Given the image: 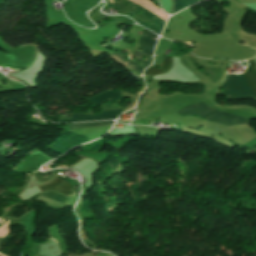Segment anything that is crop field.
I'll return each instance as SVG.
<instances>
[{
    "label": "crop field",
    "instance_id": "crop-field-1",
    "mask_svg": "<svg viewBox=\"0 0 256 256\" xmlns=\"http://www.w3.org/2000/svg\"><path fill=\"white\" fill-rule=\"evenodd\" d=\"M248 63L249 67L243 74L256 97V64L254 59L248 61ZM243 74L230 75L227 82L223 85V89L227 98H255Z\"/></svg>",
    "mask_w": 256,
    "mask_h": 256
},
{
    "label": "crop field",
    "instance_id": "crop-field-2",
    "mask_svg": "<svg viewBox=\"0 0 256 256\" xmlns=\"http://www.w3.org/2000/svg\"><path fill=\"white\" fill-rule=\"evenodd\" d=\"M177 114L185 115V116L196 115L208 121L227 124V125L249 123V120L247 119H244L242 117H239L233 114L214 110L203 102L195 105L187 106L181 109L180 111H178Z\"/></svg>",
    "mask_w": 256,
    "mask_h": 256
},
{
    "label": "crop field",
    "instance_id": "crop-field-3",
    "mask_svg": "<svg viewBox=\"0 0 256 256\" xmlns=\"http://www.w3.org/2000/svg\"><path fill=\"white\" fill-rule=\"evenodd\" d=\"M152 37H156L157 35H155L154 33L144 29L142 31V35L140 37V45L145 49L142 52H144L147 55H151L153 53V49L155 47V44L157 41L152 40ZM142 52L136 50L134 52V54L132 56H135V58L137 60H133L132 63H129L128 61H126L123 57L124 55H122L120 52H114L112 54H110L113 58H115L118 62L122 63L123 65L139 72L142 73V69L145 68L146 66L150 65L152 62V57H148L147 61H143L142 56L144 55ZM136 61H140L141 63L137 64Z\"/></svg>",
    "mask_w": 256,
    "mask_h": 256
},
{
    "label": "crop field",
    "instance_id": "crop-field-4",
    "mask_svg": "<svg viewBox=\"0 0 256 256\" xmlns=\"http://www.w3.org/2000/svg\"><path fill=\"white\" fill-rule=\"evenodd\" d=\"M122 111L123 110L106 111V112H101L98 115L74 114L70 120L58 121V122H71V121H82V120H92V119H116Z\"/></svg>",
    "mask_w": 256,
    "mask_h": 256
},
{
    "label": "crop field",
    "instance_id": "crop-field-5",
    "mask_svg": "<svg viewBox=\"0 0 256 256\" xmlns=\"http://www.w3.org/2000/svg\"><path fill=\"white\" fill-rule=\"evenodd\" d=\"M71 186H72L71 183L57 177L53 182L40 186V189L42 190V192L46 190H52V191L62 193L64 195H68L71 189Z\"/></svg>",
    "mask_w": 256,
    "mask_h": 256
},
{
    "label": "crop field",
    "instance_id": "crop-field-6",
    "mask_svg": "<svg viewBox=\"0 0 256 256\" xmlns=\"http://www.w3.org/2000/svg\"><path fill=\"white\" fill-rule=\"evenodd\" d=\"M120 99V91L112 90H108L102 94L89 98V100H91L96 105L103 104L107 100H110L109 104H111L120 101Z\"/></svg>",
    "mask_w": 256,
    "mask_h": 256
},
{
    "label": "crop field",
    "instance_id": "crop-field-7",
    "mask_svg": "<svg viewBox=\"0 0 256 256\" xmlns=\"http://www.w3.org/2000/svg\"><path fill=\"white\" fill-rule=\"evenodd\" d=\"M171 67H172L171 57H164V62L160 69L149 68L144 72V74H149L151 76L164 74V73H167Z\"/></svg>",
    "mask_w": 256,
    "mask_h": 256
},
{
    "label": "crop field",
    "instance_id": "crop-field-8",
    "mask_svg": "<svg viewBox=\"0 0 256 256\" xmlns=\"http://www.w3.org/2000/svg\"><path fill=\"white\" fill-rule=\"evenodd\" d=\"M137 7H138V6H137ZM138 8H140V9L143 11V14H145V15L151 17L152 19H153V17H155L154 15H152L151 13H149L147 10H145V9H143V8H141V7H138ZM164 23H165V22L161 21L160 19H158V18L156 17V19H155V21H154V23H153L152 26H147V25H145V24H141V25L145 26L146 28L150 29L151 31H153V32H155V33H157V34H160V32H161V30H162V28H163V26H164Z\"/></svg>",
    "mask_w": 256,
    "mask_h": 256
},
{
    "label": "crop field",
    "instance_id": "crop-field-9",
    "mask_svg": "<svg viewBox=\"0 0 256 256\" xmlns=\"http://www.w3.org/2000/svg\"><path fill=\"white\" fill-rule=\"evenodd\" d=\"M113 122L114 121H98V122H88V123H80V124H70L69 129L92 127V126H104V125L113 124Z\"/></svg>",
    "mask_w": 256,
    "mask_h": 256
},
{
    "label": "crop field",
    "instance_id": "crop-field-10",
    "mask_svg": "<svg viewBox=\"0 0 256 256\" xmlns=\"http://www.w3.org/2000/svg\"><path fill=\"white\" fill-rule=\"evenodd\" d=\"M40 196L45 197L47 199H50L52 201H55L57 203H60L62 205L64 204V202L67 198L66 196L59 195V194H57L55 192H52V191H47L43 194H40Z\"/></svg>",
    "mask_w": 256,
    "mask_h": 256
},
{
    "label": "crop field",
    "instance_id": "crop-field-11",
    "mask_svg": "<svg viewBox=\"0 0 256 256\" xmlns=\"http://www.w3.org/2000/svg\"><path fill=\"white\" fill-rule=\"evenodd\" d=\"M198 1L200 0H174L175 4L172 13Z\"/></svg>",
    "mask_w": 256,
    "mask_h": 256
},
{
    "label": "crop field",
    "instance_id": "crop-field-12",
    "mask_svg": "<svg viewBox=\"0 0 256 256\" xmlns=\"http://www.w3.org/2000/svg\"><path fill=\"white\" fill-rule=\"evenodd\" d=\"M4 220V219H3ZM3 220L0 222V223H2L3 222Z\"/></svg>",
    "mask_w": 256,
    "mask_h": 256
},
{
    "label": "crop field",
    "instance_id": "crop-field-13",
    "mask_svg": "<svg viewBox=\"0 0 256 256\" xmlns=\"http://www.w3.org/2000/svg\"><path fill=\"white\" fill-rule=\"evenodd\" d=\"M245 60H247V59H245Z\"/></svg>",
    "mask_w": 256,
    "mask_h": 256
}]
</instances>
